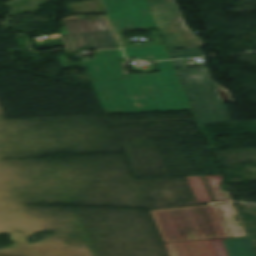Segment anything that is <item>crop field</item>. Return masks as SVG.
<instances>
[{
    "label": "crop field",
    "mask_w": 256,
    "mask_h": 256,
    "mask_svg": "<svg viewBox=\"0 0 256 256\" xmlns=\"http://www.w3.org/2000/svg\"><path fill=\"white\" fill-rule=\"evenodd\" d=\"M156 63L158 75L92 81L104 108L125 113L192 109L172 62Z\"/></svg>",
    "instance_id": "1"
},
{
    "label": "crop field",
    "mask_w": 256,
    "mask_h": 256,
    "mask_svg": "<svg viewBox=\"0 0 256 256\" xmlns=\"http://www.w3.org/2000/svg\"><path fill=\"white\" fill-rule=\"evenodd\" d=\"M150 213L165 242L230 237L214 204Z\"/></svg>",
    "instance_id": "2"
},
{
    "label": "crop field",
    "mask_w": 256,
    "mask_h": 256,
    "mask_svg": "<svg viewBox=\"0 0 256 256\" xmlns=\"http://www.w3.org/2000/svg\"><path fill=\"white\" fill-rule=\"evenodd\" d=\"M173 62L200 125L232 122L215 84L211 82L206 68L186 69L182 60Z\"/></svg>",
    "instance_id": "3"
},
{
    "label": "crop field",
    "mask_w": 256,
    "mask_h": 256,
    "mask_svg": "<svg viewBox=\"0 0 256 256\" xmlns=\"http://www.w3.org/2000/svg\"><path fill=\"white\" fill-rule=\"evenodd\" d=\"M168 50L205 46L181 15L176 0H146Z\"/></svg>",
    "instance_id": "4"
},
{
    "label": "crop field",
    "mask_w": 256,
    "mask_h": 256,
    "mask_svg": "<svg viewBox=\"0 0 256 256\" xmlns=\"http://www.w3.org/2000/svg\"><path fill=\"white\" fill-rule=\"evenodd\" d=\"M115 31L157 27L145 0H101Z\"/></svg>",
    "instance_id": "5"
},
{
    "label": "crop field",
    "mask_w": 256,
    "mask_h": 256,
    "mask_svg": "<svg viewBox=\"0 0 256 256\" xmlns=\"http://www.w3.org/2000/svg\"><path fill=\"white\" fill-rule=\"evenodd\" d=\"M170 256H228L221 239L165 244Z\"/></svg>",
    "instance_id": "6"
},
{
    "label": "crop field",
    "mask_w": 256,
    "mask_h": 256,
    "mask_svg": "<svg viewBox=\"0 0 256 256\" xmlns=\"http://www.w3.org/2000/svg\"><path fill=\"white\" fill-rule=\"evenodd\" d=\"M87 50L119 47L112 32L81 34Z\"/></svg>",
    "instance_id": "7"
},
{
    "label": "crop field",
    "mask_w": 256,
    "mask_h": 256,
    "mask_svg": "<svg viewBox=\"0 0 256 256\" xmlns=\"http://www.w3.org/2000/svg\"><path fill=\"white\" fill-rule=\"evenodd\" d=\"M127 57L154 56L155 60L168 59L164 45L123 48Z\"/></svg>",
    "instance_id": "8"
},
{
    "label": "crop field",
    "mask_w": 256,
    "mask_h": 256,
    "mask_svg": "<svg viewBox=\"0 0 256 256\" xmlns=\"http://www.w3.org/2000/svg\"><path fill=\"white\" fill-rule=\"evenodd\" d=\"M222 240L229 256H255L247 237Z\"/></svg>",
    "instance_id": "9"
},
{
    "label": "crop field",
    "mask_w": 256,
    "mask_h": 256,
    "mask_svg": "<svg viewBox=\"0 0 256 256\" xmlns=\"http://www.w3.org/2000/svg\"><path fill=\"white\" fill-rule=\"evenodd\" d=\"M186 180L197 203L214 201L202 176H190Z\"/></svg>",
    "instance_id": "10"
},
{
    "label": "crop field",
    "mask_w": 256,
    "mask_h": 256,
    "mask_svg": "<svg viewBox=\"0 0 256 256\" xmlns=\"http://www.w3.org/2000/svg\"><path fill=\"white\" fill-rule=\"evenodd\" d=\"M221 210H222V213L225 217V220L227 222V225L230 229V232L232 234L233 237H236V236H243L245 235L244 233V230L241 226V223L238 219V216L236 214V211L233 207L232 204H227V205H219ZM233 216H236V219L238 221H236ZM237 223H240V226L237 225Z\"/></svg>",
    "instance_id": "11"
},
{
    "label": "crop field",
    "mask_w": 256,
    "mask_h": 256,
    "mask_svg": "<svg viewBox=\"0 0 256 256\" xmlns=\"http://www.w3.org/2000/svg\"><path fill=\"white\" fill-rule=\"evenodd\" d=\"M70 36H65L70 47V50H74L82 46V41L79 32H86L81 21L64 23Z\"/></svg>",
    "instance_id": "12"
},
{
    "label": "crop field",
    "mask_w": 256,
    "mask_h": 256,
    "mask_svg": "<svg viewBox=\"0 0 256 256\" xmlns=\"http://www.w3.org/2000/svg\"><path fill=\"white\" fill-rule=\"evenodd\" d=\"M217 201L232 200L230 195L220 188L223 180L221 175L205 176Z\"/></svg>",
    "instance_id": "13"
},
{
    "label": "crop field",
    "mask_w": 256,
    "mask_h": 256,
    "mask_svg": "<svg viewBox=\"0 0 256 256\" xmlns=\"http://www.w3.org/2000/svg\"><path fill=\"white\" fill-rule=\"evenodd\" d=\"M78 14L104 13L98 0L73 2Z\"/></svg>",
    "instance_id": "14"
},
{
    "label": "crop field",
    "mask_w": 256,
    "mask_h": 256,
    "mask_svg": "<svg viewBox=\"0 0 256 256\" xmlns=\"http://www.w3.org/2000/svg\"><path fill=\"white\" fill-rule=\"evenodd\" d=\"M88 32L110 31L105 20H87L83 21Z\"/></svg>",
    "instance_id": "15"
},
{
    "label": "crop field",
    "mask_w": 256,
    "mask_h": 256,
    "mask_svg": "<svg viewBox=\"0 0 256 256\" xmlns=\"http://www.w3.org/2000/svg\"><path fill=\"white\" fill-rule=\"evenodd\" d=\"M172 58H188L203 56L200 49L169 51Z\"/></svg>",
    "instance_id": "16"
},
{
    "label": "crop field",
    "mask_w": 256,
    "mask_h": 256,
    "mask_svg": "<svg viewBox=\"0 0 256 256\" xmlns=\"http://www.w3.org/2000/svg\"><path fill=\"white\" fill-rule=\"evenodd\" d=\"M248 233H249L250 238H251V240L253 242V245H254V247L256 249V231H250Z\"/></svg>",
    "instance_id": "17"
},
{
    "label": "crop field",
    "mask_w": 256,
    "mask_h": 256,
    "mask_svg": "<svg viewBox=\"0 0 256 256\" xmlns=\"http://www.w3.org/2000/svg\"><path fill=\"white\" fill-rule=\"evenodd\" d=\"M70 4H71V6H69L68 3H67V6H68V8H69L71 14H73L71 10H73L74 14H77L76 11H75V9H74L73 4H72V3H70Z\"/></svg>",
    "instance_id": "18"
},
{
    "label": "crop field",
    "mask_w": 256,
    "mask_h": 256,
    "mask_svg": "<svg viewBox=\"0 0 256 256\" xmlns=\"http://www.w3.org/2000/svg\"><path fill=\"white\" fill-rule=\"evenodd\" d=\"M95 16H96L97 18L103 17V15H92V16H89V18H95ZM82 17L87 19V16H82Z\"/></svg>",
    "instance_id": "19"
},
{
    "label": "crop field",
    "mask_w": 256,
    "mask_h": 256,
    "mask_svg": "<svg viewBox=\"0 0 256 256\" xmlns=\"http://www.w3.org/2000/svg\"><path fill=\"white\" fill-rule=\"evenodd\" d=\"M62 35H63L64 41H65V44H66L67 50H68V51H70V50H69V48H68L67 42H66V40H65V37H64V35H68V34H62Z\"/></svg>",
    "instance_id": "20"
},
{
    "label": "crop field",
    "mask_w": 256,
    "mask_h": 256,
    "mask_svg": "<svg viewBox=\"0 0 256 256\" xmlns=\"http://www.w3.org/2000/svg\"><path fill=\"white\" fill-rule=\"evenodd\" d=\"M76 17H77V19H78V20L82 19V17H81V16H76Z\"/></svg>",
    "instance_id": "21"
}]
</instances>
